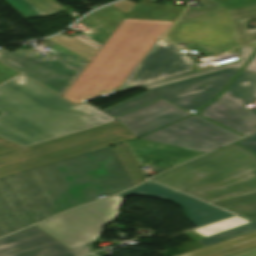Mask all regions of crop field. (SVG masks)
<instances>
[{
	"label": "crop field",
	"instance_id": "8a807250",
	"mask_svg": "<svg viewBox=\"0 0 256 256\" xmlns=\"http://www.w3.org/2000/svg\"><path fill=\"white\" fill-rule=\"evenodd\" d=\"M132 186L113 146L0 178V236Z\"/></svg>",
	"mask_w": 256,
	"mask_h": 256
},
{
	"label": "crop field",
	"instance_id": "ac0d7876",
	"mask_svg": "<svg viewBox=\"0 0 256 256\" xmlns=\"http://www.w3.org/2000/svg\"><path fill=\"white\" fill-rule=\"evenodd\" d=\"M0 137L22 147L115 121L85 103L74 106L17 75L0 84Z\"/></svg>",
	"mask_w": 256,
	"mask_h": 256
},
{
	"label": "crop field",
	"instance_id": "34b2d1b8",
	"mask_svg": "<svg viewBox=\"0 0 256 256\" xmlns=\"http://www.w3.org/2000/svg\"><path fill=\"white\" fill-rule=\"evenodd\" d=\"M151 180L210 202L256 190V157L232 144Z\"/></svg>",
	"mask_w": 256,
	"mask_h": 256
},
{
	"label": "crop field",
	"instance_id": "412701ff",
	"mask_svg": "<svg viewBox=\"0 0 256 256\" xmlns=\"http://www.w3.org/2000/svg\"><path fill=\"white\" fill-rule=\"evenodd\" d=\"M135 138L118 121L0 154V177Z\"/></svg>",
	"mask_w": 256,
	"mask_h": 256
},
{
	"label": "crop field",
	"instance_id": "f4fd0767",
	"mask_svg": "<svg viewBox=\"0 0 256 256\" xmlns=\"http://www.w3.org/2000/svg\"><path fill=\"white\" fill-rule=\"evenodd\" d=\"M45 41L59 52L46 58L22 48L12 53L1 49L0 61L62 96L89 61L49 39Z\"/></svg>",
	"mask_w": 256,
	"mask_h": 256
},
{
	"label": "crop field",
	"instance_id": "dd49c442",
	"mask_svg": "<svg viewBox=\"0 0 256 256\" xmlns=\"http://www.w3.org/2000/svg\"><path fill=\"white\" fill-rule=\"evenodd\" d=\"M123 198L115 195L54 217L35 225L70 249L88 244L96 239L107 222L116 218Z\"/></svg>",
	"mask_w": 256,
	"mask_h": 256
},
{
	"label": "crop field",
	"instance_id": "e52e79f7",
	"mask_svg": "<svg viewBox=\"0 0 256 256\" xmlns=\"http://www.w3.org/2000/svg\"><path fill=\"white\" fill-rule=\"evenodd\" d=\"M256 100V73L242 71L224 94L202 109L200 115L244 136L256 129V114L244 105Z\"/></svg>",
	"mask_w": 256,
	"mask_h": 256
},
{
	"label": "crop field",
	"instance_id": "d8731c3e",
	"mask_svg": "<svg viewBox=\"0 0 256 256\" xmlns=\"http://www.w3.org/2000/svg\"><path fill=\"white\" fill-rule=\"evenodd\" d=\"M167 39L175 44L197 43L210 52L236 44L230 13L224 7L190 21L179 18Z\"/></svg>",
	"mask_w": 256,
	"mask_h": 256
},
{
	"label": "crop field",
	"instance_id": "5a996713",
	"mask_svg": "<svg viewBox=\"0 0 256 256\" xmlns=\"http://www.w3.org/2000/svg\"><path fill=\"white\" fill-rule=\"evenodd\" d=\"M239 137L195 116L141 137L143 140L207 152Z\"/></svg>",
	"mask_w": 256,
	"mask_h": 256
},
{
	"label": "crop field",
	"instance_id": "3316defc",
	"mask_svg": "<svg viewBox=\"0 0 256 256\" xmlns=\"http://www.w3.org/2000/svg\"><path fill=\"white\" fill-rule=\"evenodd\" d=\"M180 50L160 38L118 92L190 74L195 61Z\"/></svg>",
	"mask_w": 256,
	"mask_h": 256
},
{
	"label": "crop field",
	"instance_id": "28ad6ade",
	"mask_svg": "<svg viewBox=\"0 0 256 256\" xmlns=\"http://www.w3.org/2000/svg\"><path fill=\"white\" fill-rule=\"evenodd\" d=\"M236 72L237 70L226 69L149 91L187 110L200 107L216 96Z\"/></svg>",
	"mask_w": 256,
	"mask_h": 256
},
{
	"label": "crop field",
	"instance_id": "d1516ede",
	"mask_svg": "<svg viewBox=\"0 0 256 256\" xmlns=\"http://www.w3.org/2000/svg\"><path fill=\"white\" fill-rule=\"evenodd\" d=\"M87 253V245L70 250L34 226L0 239V256H81Z\"/></svg>",
	"mask_w": 256,
	"mask_h": 256
},
{
	"label": "crop field",
	"instance_id": "22f410ed",
	"mask_svg": "<svg viewBox=\"0 0 256 256\" xmlns=\"http://www.w3.org/2000/svg\"><path fill=\"white\" fill-rule=\"evenodd\" d=\"M129 194L154 196L175 202L182 207L188 220L195 224L197 227L232 216L231 214L226 213L222 210L214 208L210 205H207L198 200H195L163 186L157 185L150 181L142 184L135 189L124 192L119 196L123 197Z\"/></svg>",
	"mask_w": 256,
	"mask_h": 256
},
{
	"label": "crop field",
	"instance_id": "cbeb9de0",
	"mask_svg": "<svg viewBox=\"0 0 256 256\" xmlns=\"http://www.w3.org/2000/svg\"><path fill=\"white\" fill-rule=\"evenodd\" d=\"M188 115L164 100H160L126 114L118 118V121L137 137Z\"/></svg>",
	"mask_w": 256,
	"mask_h": 256
},
{
	"label": "crop field",
	"instance_id": "5142ce71",
	"mask_svg": "<svg viewBox=\"0 0 256 256\" xmlns=\"http://www.w3.org/2000/svg\"><path fill=\"white\" fill-rule=\"evenodd\" d=\"M253 247H256V231L180 256H228Z\"/></svg>",
	"mask_w": 256,
	"mask_h": 256
},
{
	"label": "crop field",
	"instance_id": "d9b57169",
	"mask_svg": "<svg viewBox=\"0 0 256 256\" xmlns=\"http://www.w3.org/2000/svg\"><path fill=\"white\" fill-rule=\"evenodd\" d=\"M155 0H141L128 18L174 21L185 8L164 4L160 7Z\"/></svg>",
	"mask_w": 256,
	"mask_h": 256
},
{
	"label": "crop field",
	"instance_id": "733c2abd",
	"mask_svg": "<svg viewBox=\"0 0 256 256\" xmlns=\"http://www.w3.org/2000/svg\"><path fill=\"white\" fill-rule=\"evenodd\" d=\"M237 45L256 44V32L247 33L244 20L256 19V4L230 10Z\"/></svg>",
	"mask_w": 256,
	"mask_h": 256
},
{
	"label": "crop field",
	"instance_id": "4a817a6b",
	"mask_svg": "<svg viewBox=\"0 0 256 256\" xmlns=\"http://www.w3.org/2000/svg\"><path fill=\"white\" fill-rule=\"evenodd\" d=\"M26 18L47 16L62 11L63 7L55 0H7Z\"/></svg>",
	"mask_w": 256,
	"mask_h": 256
},
{
	"label": "crop field",
	"instance_id": "bc2a9ffb",
	"mask_svg": "<svg viewBox=\"0 0 256 256\" xmlns=\"http://www.w3.org/2000/svg\"><path fill=\"white\" fill-rule=\"evenodd\" d=\"M253 222L256 220V193L212 203Z\"/></svg>",
	"mask_w": 256,
	"mask_h": 256
},
{
	"label": "crop field",
	"instance_id": "214f88e0",
	"mask_svg": "<svg viewBox=\"0 0 256 256\" xmlns=\"http://www.w3.org/2000/svg\"><path fill=\"white\" fill-rule=\"evenodd\" d=\"M255 49H256V47H241L240 51H241L242 61L227 64V65L212 68V69H208V70L201 71V72H198V73H195V74H192V75H188V76H183V77H179V78H174V79L161 81V82H158V83L143 86V88L146 90V89H149V88H153V87H157V86H161V85H165V84H169V83H173V82H178V81L198 77V76H201V75L216 72V71L223 70V69H226V68H232V69L240 70L243 67V65L248 61V59L251 57V55L253 54Z\"/></svg>",
	"mask_w": 256,
	"mask_h": 256
},
{
	"label": "crop field",
	"instance_id": "92a150f3",
	"mask_svg": "<svg viewBox=\"0 0 256 256\" xmlns=\"http://www.w3.org/2000/svg\"><path fill=\"white\" fill-rule=\"evenodd\" d=\"M159 99V97H157L156 95L152 94L151 92L147 91L143 94H140L138 96H135L131 99H128L126 101H123L119 104H116L114 106H111L107 109L102 110L103 112H105L106 114H108L109 116L115 118L119 115H122L126 112H129L133 109H136L138 107H141L145 104H148L152 101H155Z\"/></svg>",
	"mask_w": 256,
	"mask_h": 256
},
{
	"label": "crop field",
	"instance_id": "dafd665d",
	"mask_svg": "<svg viewBox=\"0 0 256 256\" xmlns=\"http://www.w3.org/2000/svg\"><path fill=\"white\" fill-rule=\"evenodd\" d=\"M114 148L118 153L120 159L122 160L129 175L131 176L132 180L134 181L135 185L146 180L127 143L115 145Z\"/></svg>",
	"mask_w": 256,
	"mask_h": 256
},
{
	"label": "crop field",
	"instance_id": "00972430",
	"mask_svg": "<svg viewBox=\"0 0 256 256\" xmlns=\"http://www.w3.org/2000/svg\"><path fill=\"white\" fill-rule=\"evenodd\" d=\"M256 230V224L254 223H250V224H246L201 240H198V242H200L202 245L206 246V245H210L213 243H217L223 240H227L236 236H240L252 231Z\"/></svg>",
	"mask_w": 256,
	"mask_h": 256
},
{
	"label": "crop field",
	"instance_id": "a9b5d70f",
	"mask_svg": "<svg viewBox=\"0 0 256 256\" xmlns=\"http://www.w3.org/2000/svg\"><path fill=\"white\" fill-rule=\"evenodd\" d=\"M246 223H250V222L236 216L218 223H214V224L199 228L194 231L207 237V236H210V235H213V234H216V233H219V232H222Z\"/></svg>",
	"mask_w": 256,
	"mask_h": 256
},
{
	"label": "crop field",
	"instance_id": "4177f3b9",
	"mask_svg": "<svg viewBox=\"0 0 256 256\" xmlns=\"http://www.w3.org/2000/svg\"><path fill=\"white\" fill-rule=\"evenodd\" d=\"M197 1H199L204 6V8L194 10L191 7H187L186 11L181 16V18L190 20L192 18H195L197 16H200L202 14H205L207 12H210L212 10L222 7L221 5L214 2L213 0H197Z\"/></svg>",
	"mask_w": 256,
	"mask_h": 256
},
{
	"label": "crop field",
	"instance_id": "730fd06b",
	"mask_svg": "<svg viewBox=\"0 0 256 256\" xmlns=\"http://www.w3.org/2000/svg\"><path fill=\"white\" fill-rule=\"evenodd\" d=\"M228 9L255 4L256 0H214Z\"/></svg>",
	"mask_w": 256,
	"mask_h": 256
},
{
	"label": "crop field",
	"instance_id": "eef30255",
	"mask_svg": "<svg viewBox=\"0 0 256 256\" xmlns=\"http://www.w3.org/2000/svg\"><path fill=\"white\" fill-rule=\"evenodd\" d=\"M239 144L256 153V134L248 137L246 140L239 142Z\"/></svg>",
	"mask_w": 256,
	"mask_h": 256
},
{
	"label": "crop field",
	"instance_id": "ae1a2a85",
	"mask_svg": "<svg viewBox=\"0 0 256 256\" xmlns=\"http://www.w3.org/2000/svg\"><path fill=\"white\" fill-rule=\"evenodd\" d=\"M18 148H22V147L0 138V153L18 149Z\"/></svg>",
	"mask_w": 256,
	"mask_h": 256
},
{
	"label": "crop field",
	"instance_id": "d3111659",
	"mask_svg": "<svg viewBox=\"0 0 256 256\" xmlns=\"http://www.w3.org/2000/svg\"><path fill=\"white\" fill-rule=\"evenodd\" d=\"M231 256H256V248L250 249V250H246Z\"/></svg>",
	"mask_w": 256,
	"mask_h": 256
},
{
	"label": "crop field",
	"instance_id": "750c4746",
	"mask_svg": "<svg viewBox=\"0 0 256 256\" xmlns=\"http://www.w3.org/2000/svg\"><path fill=\"white\" fill-rule=\"evenodd\" d=\"M244 70L256 72V56L252 59V61L246 66Z\"/></svg>",
	"mask_w": 256,
	"mask_h": 256
},
{
	"label": "crop field",
	"instance_id": "bd1437ed",
	"mask_svg": "<svg viewBox=\"0 0 256 256\" xmlns=\"http://www.w3.org/2000/svg\"><path fill=\"white\" fill-rule=\"evenodd\" d=\"M88 256H93V255H88Z\"/></svg>",
	"mask_w": 256,
	"mask_h": 256
},
{
	"label": "crop field",
	"instance_id": "1d83c4d3",
	"mask_svg": "<svg viewBox=\"0 0 256 256\" xmlns=\"http://www.w3.org/2000/svg\"><path fill=\"white\" fill-rule=\"evenodd\" d=\"M254 223H256V221Z\"/></svg>",
	"mask_w": 256,
	"mask_h": 256
}]
</instances>
